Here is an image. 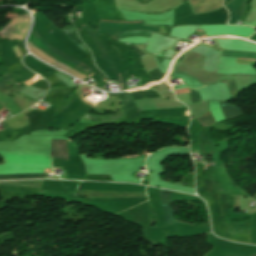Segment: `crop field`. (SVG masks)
<instances>
[{
    "mask_svg": "<svg viewBox=\"0 0 256 256\" xmlns=\"http://www.w3.org/2000/svg\"><path fill=\"white\" fill-rule=\"evenodd\" d=\"M223 54L222 56H227V57H244V58H252L256 59V54L255 53H247V52H232V51H222ZM244 60H251V59H244ZM256 61V60H253Z\"/></svg>",
    "mask_w": 256,
    "mask_h": 256,
    "instance_id": "22f410ed",
    "label": "crop field"
},
{
    "mask_svg": "<svg viewBox=\"0 0 256 256\" xmlns=\"http://www.w3.org/2000/svg\"><path fill=\"white\" fill-rule=\"evenodd\" d=\"M129 47H131L134 51L139 53L140 56L144 55L137 48H135L133 45H130ZM149 74L154 79L155 82L159 81L160 79H162L165 76L159 68L149 72Z\"/></svg>",
    "mask_w": 256,
    "mask_h": 256,
    "instance_id": "5142ce71",
    "label": "crop field"
},
{
    "mask_svg": "<svg viewBox=\"0 0 256 256\" xmlns=\"http://www.w3.org/2000/svg\"><path fill=\"white\" fill-rule=\"evenodd\" d=\"M81 196L102 198L146 197L145 192L81 190Z\"/></svg>",
    "mask_w": 256,
    "mask_h": 256,
    "instance_id": "f4fd0767",
    "label": "crop field"
},
{
    "mask_svg": "<svg viewBox=\"0 0 256 256\" xmlns=\"http://www.w3.org/2000/svg\"><path fill=\"white\" fill-rule=\"evenodd\" d=\"M159 192L163 203L166 222L169 223L175 221L174 211L171 209V191L159 189Z\"/></svg>",
    "mask_w": 256,
    "mask_h": 256,
    "instance_id": "28ad6ade",
    "label": "crop field"
},
{
    "mask_svg": "<svg viewBox=\"0 0 256 256\" xmlns=\"http://www.w3.org/2000/svg\"><path fill=\"white\" fill-rule=\"evenodd\" d=\"M225 6L228 8L230 13V19L228 23L236 24L237 20L242 18L245 13L247 0H233Z\"/></svg>",
    "mask_w": 256,
    "mask_h": 256,
    "instance_id": "e52e79f7",
    "label": "crop field"
},
{
    "mask_svg": "<svg viewBox=\"0 0 256 256\" xmlns=\"http://www.w3.org/2000/svg\"><path fill=\"white\" fill-rule=\"evenodd\" d=\"M3 108V106L0 104V109ZM5 109V108H4ZM3 110V109H2ZM1 111V110H0Z\"/></svg>",
    "mask_w": 256,
    "mask_h": 256,
    "instance_id": "214f88e0",
    "label": "crop field"
},
{
    "mask_svg": "<svg viewBox=\"0 0 256 256\" xmlns=\"http://www.w3.org/2000/svg\"><path fill=\"white\" fill-rule=\"evenodd\" d=\"M167 88H171V86H168Z\"/></svg>",
    "mask_w": 256,
    "mask_h": 256,
    "instance_id": "dafd665d",
    "label": "crop field"
},
{
    "mask_svg": "<svg viewBox=\"0 0 256 256\" xmlns=\"http://www.w3.org/2000/svg\"><path fill=\"white\" fill-rule=\"evenodd\" d=\"M130 77H132V76H130Z\"/></svg>",
    "mask_w": 256,
    "mask_h": 256,
    "instance_id": "a9b5d70f",
    "label": "crop field"
},
{
    "mask_svg": "<svg viewBox=\"0 0 256 256\" xmlns=\"http://www.w3.org/2000/svg\"><path fill=\"white\" fill-rule=\"evenodd\" d=\"M52 158L68 161L64 139H52ZM45 172H50V169H45ZM31 178H46V174H19L0 176V180Z\"/></svg>",
    "mask_w": 256,
    "mask_h": 256,
    "instance_id": "ac0d7876",
    "label": "crop field"
},
{
    "mask_svg": "<svg viewBox=\"0 0 256 256\" xmlns=\"http://www.w3.org/2000/svg\"><path fill=\"white\" fill-rule=\"evenodd\" d=\"M186 72H187V69H184V68H182L180 71V73H184V74H186Z\"/></svg>",
    "mask_w": 256,
    "mask_h": 256,
    "instance_id": "4a817a6b",
    "label": "crop field"
},
{
    "mask_svg": "<svg viewBox=\"0 0 256 256\" xmlns=\"http://www.w3.org/2000/svg\"><path fill=\"white\" fill-rule=\"evenodd\" d=\"M127 23H140V22H127ZM159 28L160 27L144 26L143 23H141V24H120V23H111V22L100 21L98 34H108V35L115 36L116 33L128 31V30H135V29L149 30V31L158 33Z\"/></svg>",
    "mask_w": 256,
    "mask_h": 256,
    "instance_id": "34b2d1b8",
    "label": "crop field"
},
{
    "mask_svg": "<svg viewBox=\"0 0 256 256\" xmlns=\"http://www.w3.org/2000/svg\"><path fill=\"white\" fill-rule=\"evenodd\" d=\"M224 81H225V83H226V85L228 87V90H229L231 96L233 97L236 94V92L238 91L234 80L233 79H226ZM174 90H175L176 94L185 93V92H191L188 87L177 88V89H174ZM192 92H194V91H192ZM189 94H190L191 99H192L193 102H195V101H202L198 92L189 93Z\"/></svg>",
    "mask_w": 256,
    "mask_h": 256,
    "instance_id": "3316defc",
    "label": "crop field"
},
{
    "mask_svg": "<svg viewBox=\"0 0 256 256\" xmlns=\"http://www.w3.org/2000/svg\"><path fill=\"white\" fill-rule=\"evenodd\" d=\"M42 180H31V181H11V182H0L4 185H18L40 188Z\"/></svg>",
    "mask_w": 256,
    "mask_h": 256,
    "instance_id": "d1516ede",
    "label": "crop field"
},
{
    "mask_svg": "<svg viewBox=\"0 0 256 256\" xmlns=\"http://www.w3.org/2000/svg\"><path fill=\"white\" fill-rule=\"evenodd\" d=\"M188 43H190V41H188Z\"/></svg>",
    "mask_w": 256,
    "mask_h": 256,
    "instance_id": "00972430",
    "label": "crop field"
},
{
    "mask_svg": "<svg viewBox=\"0 0 256 256\" xmlns=\"http://www.w3.org/2000/svg\"><path fill=\"white\" fill-rule=\"evenodd\" d=\"M240 196H235V203L233 207H239Z\"/></svg>",
    "mask_w": 256,
    "mask_h": 256,
    "instance_id": "d9b57169",
    "label": "crop field"
},
{
    "mask_svg": "<svg viewBox=\"0 0 256 256\" xmlns=\"http://www.w3.org/2000/svg\"><path fill=\"white\" fill-rule=\"evenodd\" d=\"M143 2H147V1H149V0H142Z\"/></svg>",
    "mask_w": 256,
    "mask_h": 256,
    "instance_id": "92a150f3",
    "label": "crop field"
},
{
    "mask_svg": "<svg viewBox=\"0 0 256 256\" xmlns=\"http://www.w3.org/2000/svg\"><path fill=\"white\" fill-rule=\"evenodd\" d=\"M152 32L148 31H129L124 33H119L116 35V39L125 38V37H133V36H145L150 37Z\"/></svg>",
    "mask_w": 256,
    "mask_h": 256,
    "instance_id": "cbeb9de0",
    "label": "crop field"
},
{
    "mask_svg": "<svg viewBox=\"0 0 256 256\" xmlns=\"http://www.w3.org/2000/svg\"><path fill=\"white\" fill-rule=\"evenodd\" d=\"M89 35L91 36V38L93 39L94 43L96 44L97 48L99 49V51L101 52L102 56L104 57L105 61L107 62V64L109 65L110 69L113 71V73L116 75V77L118 78V83H120V79H119V73L116 69V67L114 66L112 60L110 59L108 53L106 52V50L104 49V47L102 46L100 40L98 39V37L96 36V34L92 31V29L88 26L85 28Z\"/></svg>",
    "mask_w": 256,
    "mask_h": 256,
    "instance_id": "5a996713",
    "label": "crop field"
},
{
    "mask_svg": "<svg viewBox=\"0 0 256 256\" xmlns=\"http://www.w3.org/2000/svg\"><path fill=\"white\" fill-rule=\"evenodd\" d=\"M6 48H7V51H8L9 57H10V58H12L13 56H12L11 49H10V48H8V47H6Z\"/></svg>",
    "mask_w": 256,
    "mask_h": 256,
    "instance_id": "733c2abd",
    "label": "crop field"
},
{
    "mask_svg": "<svg viewBox=\"0 0 256 256\" xmlns=\"http://www.w3.org/2000/svg\"><path fill=\"white\" fill-rule=\"evenodd\" d=\"M29 25L30 17L28 15L13 19L3 33L2 38L11 40H24Z\"/></svg>",
    "mask_w": 256,
    "mask_h": 256,
    "instance_id": "412701ff",
    "label": "crop field"
},
{
    "mask_svg": "<svg viewBox=\"0 0 256 256\" xmlns=\"http://www.w3.org/2000/svg\"><path fill=\"white\" fill-rule=\"evenodd\" d=\"M182 56H183V55L179 56L177 60H181V59H182Z\"/></svg>",
    "mask_w": 256,
    "mask_h": 256,
    "instance_id": "bc2a9ffb",
    "label": "crop field"
},
{
    "mask_svg": "<svg viewBox=\"0 0 256 256\" xmlns=\"http://www.w3.org/2000/svg\"><path fill=\"white\" fill-rule=\"evenodd\" d=\"M29 38H31V39L37 41L38 43L44 45L45 47H47V48H49V49H51V50H53L54 52L60 54L61 56H63V57H65V58L69 59L70 61L76 63L77 65H79V66L85 68L86 70H88V71H90V72H92V73L94 72L86 63H84V62H82L81 60H79V59H77V58L71 56L70 54H68V53H66V52H64V51H62L61 49H59V48H57V47L51 45L50 43H48V42L42 40L41 38H39V37H37V36H35V35H33V34H30V37H29ZM31 39H29V42H28V43H30V44L36 46L37 48H39V49L45 51L46 53H48V54L54 56L55 58L61 60L62 62H64V63L70 65L71 67H73V68L79 70L80 72H82V73H84V74H86V75H88V76H89L90 74H92V73H90V72L84 70L83 68L77 66L76 64H74V63L68 61L67 59L61 57L60 55H58V54L52 52L51 50L45 48L44 46H42V45L36 43L35 41H33V40H31ZM30 44H28V45H29V50H31V51H32L35 55H37L38 57H40V58H42V59H44V60H46V61H48V62H50V63H52V64H54V65H56V66H58V67L61 68L62 70L66 71V72H68V73H70V74H72V75H75V76L81 78L82 80H84L85 78L88 77V76H86V75L80 73L79 71H77V70L71 68L70 66H68V65H66V64H64V63H62L61 61L55 59L54 57H52V56L46 54L45 52H43V51L37 49L36 47H34V46L30 45ZM94 73H95V72H94ZM89 77H90V76H89ZM89 77H88V78H89ZM88 78H87V79H88ZM85 80H86V79H85ZM85 80H84V81H85Z\"/></svg>",
    "mask_w": 256,
    "mask_h": 256,
    "instance_id": "8a807250",
    "label": "crop field"
},
{
    "mask_svg": "<svg viewBox=\"0 0 256 256\" xmlns=\"http://www.w3.org/2000/svg\"><path fill=\"white\" fill-rule=\"evenodd\" d=\"M223 0H189L195 14L222 6Z\"/></svg>",
    "mask_w": 256,
    "mask_h": 256,
    "instance_id": "d8731c3e",
    "label": "crop field"
},
{
    "mask_svg": "<svg viewBox=\"0 0 256 256\" xmlns=\"http://www.w3.org/2000/svg\"><path fill=\"white\" fill-rule=\"evenodd\" d=\"M219 103L221 105V108L226 120L242 115L241 110L237 109L236 106L228 105L227 102H219ZM196 119H198L201 126H211L215 123L210 111Z\"/></svg>",
    "mask_w": 256,
    "mask_h": 256,
    "instance_id": "dd49c442",
    "label": "crop field"
}]
</instances>
